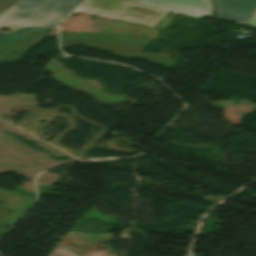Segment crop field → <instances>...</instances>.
Masks as SVG:
<instances>
[{
    "label": "crop field",
    "instance_id": "obj_1",
    "mask_svg": "<svg viewBox=\"0 0 256 256\" xmlns=\"http://www.w3.org/2000/svg\"><path fill=\"white\" fill-rule=\"evenodd\" d=\"M83 0H18L0 16V44L19 40L29 30L46 34ZM82 3V2H81Z\"/></svg>",
    "mask_w": 256,
    "mask_h": 256
},
{
    "label": "crop field",
    "instance_id": "obj_2",
    "mask_svg": "<svg viewBox=\"0 0 256 256\" xmlns=\"http://www.w3.org/2000/svg\"><path fill=\"white\" fill-rule=\"evenodd\" d=\"M88 1V0H87ZM135 0H89L76 11L153 26L168 12L135 4ZM165 17V16H164Z\"/></svg>",
    "mask_w": 256,
    "mask_h": 256
},
{
    "label": "crop field",
    "instance_id": "obj_3",
    "mask_svg": "<svg viewBox=\"0 0 256 256\" xmlns=\"http://www.w3.org/2000/svg\"><path fill=\"white\" fill-rule=\"evenodd\" d=\"M136 3L201 19L212 16L210 0H136Z\"/></svg>",
    "mask_w": 256,
    "mask_h": 256
},
{
    "label": "crop field",
    "instance_id": "obj_5",
    "mask_svg": "<svg viewBox=\"0 0 256 256\" xmlns=\"http://www.w3.org/2000/svg\"><path fill=\"white\" fill-rule=\"evenodd\" d=\"M17 0H0V15L4 13Z\"/></svg>",
    "mask_w": 256,
    "mask_h": 256
},
{
    "label": "crop field",
    "instance_id": "obj_6",
    "mask_svg": "<svg viewBox=\"0 0 256 256\" xmlns=\"http://www.w3.org/2000/svg\"><path fill=\"white\" fill-rule=\"evenodd\" d=\"M249 24H252V27H256V14H255V16L252 18V20L250 21Z\"/></svg>",
    "mask_w": 256,
    "mask_h": 256
},
{
    "label": "crop field",
    "instance_id": "obj_4",
    "mask_svg": "<svg viewBox=\"0 0 256 256\" xmlns=\"http://www.w3.org/2000/svg\"><path fill=\"white\" fill-rule=\"evenodd\" d=\"M218 18L245 24L256 9V0H215Z\"/></svg>",
    "mask_w": 256,
    "mask_h": 256
}]
</instances>
